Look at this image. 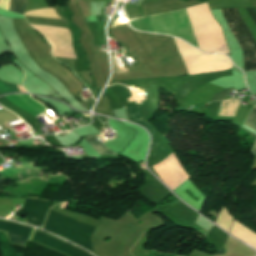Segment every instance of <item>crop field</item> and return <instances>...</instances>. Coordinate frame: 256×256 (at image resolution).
<instances>
[{
    "mask_svg": "<svg viewBox=\"0 0 256 256\" xmlns=\"http://www.w3.org/2000/svg\"><path fill=\"white\" fill-rule=\"evenodd\" d=\"M94 229V227L52 211L44 226V230L65 237L90 251H93L91 235Z\"/></svg>",
    "mask_w": 256,
    "mask_h": 256,
    "instance_id": "8a807250",
    "label": "crop field"
},
{
    "mask_svg": "<svg viewBox=\"0 0 256 256\" xmlns=\"http://www.w3.org/2000/svg\"><path fill=\"white\" fill-rule=\"evenodd\" d=\"M243 51L244 72L256 70V44L242 21L237 8L220 9Z\"/></svg>",
    "mask_w": 256,
    "mask_h": 256,
    "instance_id": "ac0d7876",
    "label": "crop field"
},
{
    "mask_svg": "<svg viewBox=\"0 0 256 256\" xmlns=\"http://www.w3.org/2000/svg\"><path fill=\"white\" fill-rule=\"evenodd\" d=\"M33 241L41 245H44L48 248H51L55 251L61 252L67 256H90L38 231L36 232Z\"/></svg>",
    "mask_w": 256,
    "mask_h": 256,
    "instance_id": "34b2d1b8",
    "label": "crop field"
},
{
    "mask_svg": "<svg viewBox=\"0 0 256 256\" xmlns=\"http://www.w3.org/2000/svg\"><path fill=\"white\" fill-rule=\"evenodd\" d=\"M50 202L26 199L22 210L30 213L26 223L41 226Z\"/></svg>",
    "mask_w": 256,
    "mask_h": 256,
    "instance_id": "412701ff",
    "label": "crop field"
},
{
    "mask_svg": "<svg viewBox=\"0 0 256 256\" xmlns=\"http://www.w3.org/2000/svg\"><path fill=\"white\" fill-rule=\"evenodd\" d=\"M0 230L8 232V236L13 244L23 245L31 229L0 220Z\"/></svg>",
    "mask_w": 256,
    "mask_h": 256,
    "instance_id": "f4fd0767",
    "label": "crop field"
},
{
    "mask_svg": "<svg viewBox=\"0 0 256 256\" xmlns=\"http://www.w3.org/2000/svg\"><path fill=\"white\" fill-rule=\"evenodd\" d=\"M223 103L221 104V107ZM238 105H239V100L237 99H229L225 101L223 107L219 109L218 116H234L238 108Z\"/></svg>",
    "mask_w": 256,
    "mask_h": 256,
    "instance_id": "dd49c442",
    "label": "crop field"
},
{
    "mask_svg": "<svg viewBox=\"0 0 256 256\" xmlns=\"http://www.w3.org/2000/svg\"><path fill=\"white\" fill-rule=\"evenodd\" d=\"M84 140L95 149L98 155L109 154V155L117 156L116 153L109 150L106 146H104L101 142H99L94 137L86 138Z\"/></svg>",
    "mask_w": 256,
    "mask_h": 256,
    "instance_id": "e52e79f7",
    "label": "crop field"
},
{
    "mask_svg": "<svg viewBox=\"0 0 256 256\" xmlns=\"http://www.w3.org/2000/svg\"><path fill=\"white\" fill-rule=\"evenodd\" d=\"M21 92H25L22 87L18 86ZM17 85L0 80V93L20 92Z\"/></svg>",
    "mask_w": 256,
    "mask_h": 256,
    "instance_id": "d8731c3e",
    "label": "crop field"
},
{
    "mask_svg": "<svg viewBox=\"0 0 256 256\" xmlns=\"http://www.w3.org/2000/svg\"><path fill=\"white\" fill-rule=\"evenodd\" d=\"M24 6L25 0H9L7 9L23 14L22 11L24 9Z\"/></svg>",
    "mask_w": 256,
    "mask_h": 256,
    "instance_id": "5a996713",
    "label": "crop field"
},
{
    "mask_svg": "<svg viewBox=\"0 0 256 256\" xmlns=\"http://www.w3.org/2000/svg\"><path fill=\"white\" fill-rule=\"evenodd\" d=\"M125 109H126V112H127L128 119L130 121L142 119L140 106L129 107V108H125Z\"/></svg>",
    "mask_w": 256,
    "mask_h": 256,
    "instance_id": "3316defc",
    "label": "crop field"
},
{
    "mask_svg": "<svg viewBox=\"0 0 256 256\" xmlns=\"http://www.w3.org/2000/svg\"><path fill=\"white\" fill-rule=\"evenodd\" d=\"M246 125L256 129V108H253V110L246 122ZM254 152L256 153V148H255Z\"/></svg>",
    "mask_w": 256,
    "mask_h": 256,
    "instance_id": "28ad6ade",
    "label": "crop field"
},
{
    "mask_svg": "<svg viewBox=\"0 0 256 256\" xmlns=\"http://www.w3.org/2000/svg\"><path fill=\"white\" fill-rule=\"evenodd\" d=\"M135 123H138V124L144 126L149 131V133L151 134L152 139H153L154 129L152 128V126H150V125H148V124H146V123H144L142 121H135Z\"/></svg>",
    "mask_w": 256,
    "mask_h": 256,
    "instance_id": "d1516ede",
    "label": "crop field"
},
{
    "mask_svg": "<svg viewBox=\"0 0 256 256\" xmlns=\"http://www.w3.org/2000/svg\"><path fill=\"white\" fill-rule=\"evenodd\" d=\"M255 9V11H256V8H254Z\"/></svg>",
    "mask_w": 256,
    "mask_h": 256,
    "instance_id": "22f410ed",
    "label": "crop field"
}]
</instances>
